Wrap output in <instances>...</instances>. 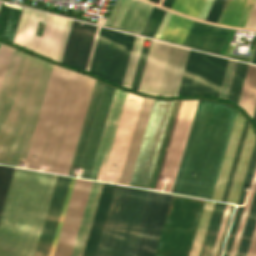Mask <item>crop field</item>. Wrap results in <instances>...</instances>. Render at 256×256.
<instances>
[{"label":"crop field","mask_w":256,"mask_h":256,"mask_svg":"<svg viewBox=\"0 0 256 256\" xmlns=\"http://www.w3.org/2000/svg\"><path fill=\"white\" fill-rule=\"evenodd\" d=\"M241 2H242V0H231L230 1L228 8L226 10V13L221 22L222 24H227V25L232 24V22L235 18V15L240 7Z\"/></svg>","instance_id":"42"},{"label":"crop field","mask_w":256,"mask_h":256,"mask_svg":"<svg viewBox=\"0 0 256 256\" xmlns=\"http://www.w3.org/2000/svg\"><path fill=\"white\" fill-rule=\"evenodd\" d=\"M70 179L69 177L57 176L35 256H48Z\"/></svg>","instance_id":"17"},{"label":"crop field","mask_w":256,"mask_h":256,"mask_svg":"<svg viewBox=\"0 0 256 256\" xmlns=\"http://www.w3.org/2000/svg\"><path fill=\"white\" fill-rule=\"evenodd\" d=\"M94 81L53 66L26 160L30 169L68 174Z\"/></svg>","instance_id":"1"},{"label":"crop field","mask_w":256,"mask_h":256,"mask_svg":"<svg viewBox=\"0 0 256 256\" xmlns=\"http://www.w3.org/2000/svg\"><path fill=\"white\" fill-rule=\"evenodd\" d=\"M44 17L45 13L23 8L13 43L36 53L41 37L35 33Z\"/></svg>","instance_id":"20"},{"label":"crop field","mask_w":256,"mask_h":256,"mask_svg":"<svg viewBox=\"0 0 256 256\" xmlns=\"http://www.w3.org/2000/svg\"><path fill=\"white\" fill-rule=\"evenodd\" d=\"M74 179L75 178L71 179V183H70V186H69V189H68V193H67V196H66V199H65V203H64V206H63V209H62V213H61V216H60V219H59V223H58V226H57V229H56V233H55V236H54V239H53V243H52V246H51V249H50L49 256H52V254H53V250H54L55 243H56V240H57V237H58V233H59L60 226H61V223H62V220H63V216H64V213H65V210H66V206H67L68 199H69V196H70V193H71V189H72V186H73V183H74Z\"/></svg>","instance_id":"45"},{"label":"crop field","mask_w":256,"mask_h":256,"mask_svg":"<svg viewBox=\"0 0 256 256\" xmlns=\"http://www.w3.org/2000/svg\"><path fill=\"white\" fill-rule=\"evenodd\" d=\"M152 7L147 3L132 0L119 29L139 34Z\"/></svg>","instance_id":"27"},{"label":"crop field","mask_w":256,"mask_h":256,"mask_svg":"<svg viewBox=\"0 0 256 256\" xmlns=\"http://www.w3.org/2000/svg\"><path fill=\"white\" fill-rule=\"evenodd\" d=\"M171 2L172 0H163L161 5L169 8L171 5Z\"/></svg>","instance_id":"59"},{"label":"crop field","mask_w":256,"mask_h":256,"mask_svg":"<svg viewBox=\"0 0 256 256\" xmlns=\"http://www.w3.org/2000/svg\"><path fill=\"white\" fill-rule=\"evenodd\" d=\"M230 30L195 21L184 45L219 54Z\"/></svg>","instance_id":"19"},{"label":"crop field","mask_w":256,"mask_h":256,"mask_svg":"<svg viewBox=\"0 0 256 256\" xmlns=\"http://www.w3.org/2000/svg\"><path fill=\"white\" fill-rule=\"evenodd\" d=\"M15 168L0 216V256H33L56 180Z\"/></svg>","instance_id":"4"},{"label":"crop field","mask_w":256,"mask_h":256,"mask_svg":"<svg viewBox=\"0 0 256 256\" xmlns=\"http://www.w3.org/2000/svg\"><path fill=\"white\" fill-rule=\"evenodd\" d=\"M255 224H256V191L253 197L251 208L248 214V218L245 224V228L243 231V235H242L236 256H246Z\"/></svg>","instance_id":"33"},{"label":"crop field","mask_w":256,"mask_h":256,"mask_svg":"<svg viewBox=\"0 0 256 256\" xmlns=\"http://www.w3.org/2000/svg\"><path fill=\"white\" fill-rule=\"evenodd\" d=\"M142 99L141 97L129 93L127 94L106 170L104 169L105 173L102 181L113 182L114 179L107 178L108 172H113L118 173L115 183H119Z\"/></svg>","instance_id":"11"},{"label":"crop field","mask_w":256,"mask_h":256,"mask_svg":"<svg viewBox=\"0 0 256 256\" xmlns=\"http://www.w3.org/2000/svg\"><path fill=\"white\" fill-rule=\"evenodd\" d=\"M11 48L0 45V86L10 57Z\"/></svg>","instance_id":"44"},{"label":"crop field","mask_w":256,"mask_h":256,"mask_svg":"<svg viewBox=\"0 0 256 256\" xmlns=\"http://www.w3.org/2000/svg\"><path fill=\"white\" fill-rule=\"evenodd\" d=\"M113 186L114 185L112 184H103V188L100 194V198L97 204L95 215L82 256H94Z\"/></svg>","instance_id":"25"},{"label":"crop field","mask_w":256,"mask_h":256,"mask_svg":"<svg viewBox=\"0 0 256 256\" xmlns=\"http://www.w3.org/2000/svg\"><path fill=\"white\" fill-rule=\"evenodd\" d=\"M248 126H249V124L247 123V121H245L244 128H243V131H242V134H241V138H240V141H239V144H238V147H237V151H236V154H235V157H234V161H233V164H232V167H231V170H230V174H229V177H228L226 187H225V190H224L223 197H222L221 201H224V202L227 201V197H228V194H229V191H230V187H231L232 180H233V177H234V174H235V170H236L237 163H238V160H239V157H240V153H241V150H242V147H243V143H244L245 136H246V133H247V130H248Z\"/></svg>","instance_id":"40"},{"label":"crop field","mask_w":256,"mask_h":256,"mask_svg":"<svg viewBox=\"0 0 256 256\" xmlns=\"http://www.w3.org/2000/svg\"><path fill=\"white\" fill-rule=\"evenodd\" d=\"M71 21L72 20H70V19L67 20V24H66V27H65V31H64V34H63V38H62L61 45H60V48H59V52H58L57 59H56L59 62L61 61V57H62V54H63V50H64V46H65L66 39H67V36H68Z\"/></svg>","instance_id":"50"},{"label":"crop field","mask_w":256,"mask_h":256,"mask_svg":"<svg viewBox=\"0 0 256 256\" xmlns=\"http://www.w3.org/2000/svg\"><path fill=\"white\" fill-rule=\"evenodd\" d=\"M148 192L131 189L112 256H130Z\"/></svg>","instance_id":"13"},{"label":"crop field","mask_w":256,"mask_h":256,"mask_svg":"<svg viewBox=\"0 0 256 256\" xmlns=\"http://www.w3.org/2000/svg\"><path fill=\"white\" fill-rule=\"evenodd\" d=\"M249 64L245 63H236L233 79L231 82L229 94L227 99L233 100L235 103H238V99L241 93V89L244 83V79L247 73Z\"/></svg>","instance_id":"35"},{"label":"crop field","mask_w":256,"mask_h":256,"mask_svg":"<svg viewBox=\"0 0 256 256\" xmlns=\"http://www.w3.org/2000/svg\"><path fill=\"white\" fill-rule=\"evenodd\" d=\"M188 51L152 40L138 91L176 96Z\"/></svg>","instance_id":"5"},{"label":"crop field","mask_w":256,"mask_h":256,"mask_svg":"<svg viewBox=\"0 0 256 256\" xmlns=\"http://www.w3.org/2000/svg\"><path fill=\"white\" fill-rule=\"evenodd\" d=\"M134 37L101 27L89 71L121 85Z\"/></svg>","instance_id":"7"},{"label":"crop field","mask_w":256,"mask_h":256,"mask_svg":"<svg viewBox=\"0 0 256 256\" xmlns=\"http://www.w3.org/2000/svg\"><path fill=\"white\" fill-rule=\"evenodd\" d=\"M165 12L154 6L140 34L153 37Z\"/></svg>","instance_id":"38"},{"label":"crop field","mask_w":256,"mask_h":256,"mask_svg":"<svg viewBox=\"0 0 256 256\" xmlns=\"http://www.w3.org/2000/svg\"><path fill=\"white\" fill-rule=\"evenodd\" d=\"M254 141H255L254 134L251 127L249 126V130L246 136L244 147L241 153V157L239 160V164L236 170V174L233 180V184H232L227 202H231L235 204L237 203V199L240 193V189H241L244 175L247 169V165H248L251 151L254 145Z\"/></svg>","instance_id":"28"},{"label":"crop field","mask_w":256,"mask_h":256,"mask_svg":"<svg viewBox=\"0 0 256 256\" xmlns=\"http://www.w3.org/2000/svg\"><path fill=\"white\" fill-rule=\"evenodd\" d=\"M247 256H256V227L250 244Z\"/></svg>","instance_id":"55"},{"label":"crop field","mask_w":256,"mask_h":256,"mask_svg":"<svg viewBox=\"0 0 256 256\" xmlns=\"http://www.w3.org/2000/svg\"><path fill=\"white\" fill-rule=\"evenodd\" d=\"M245 119L237 112L236 119L233 125V129L230 135V139L226 148V152L223 158V162L219 171V175L216 181V185L213 191V200H221L222 193L225 187V183L229 174V170L232 164V160L236 151V147L240 138V134L243 128Z\"/></svg>","instance_id":"22"},{"label":"crop field","mask_w":256,"mask_h":256,"mask_svg":"<svg viewBox=\"0 0 256 256\" xmlns=\"http://www.w3.org/2000/svg\"><path fill=\"white\" fill-rule=\"evenodd\" d=\"M130 1L131 0H125V2H124V4H123V6H122V8H121V10H120V12H119V14H118V16H117V18H116L112 27H115V28L118 27V25H119L124 13H125L127 7H128V5H129Z\"/></svg>","instance_id":"52"},{"label":"crop field","mask_w":256,"mask_h":256,"mask_svg":"<svg viewBox=\"0 0 256 256\" xmlns=\"http://www.w3.org/2000/svg\"><path fill=\"white\" fill-rule=\"evenodd\" d=\"M101 182H92V186L89 192V196L86 202L84 213L81 219L79 230L76 236V240L73 246L71 256H81L83 248L86 242L88 231L91 225V221L94 215L96 204L99 198V194L102 188Z\"/></svg>","instance_id":"26"},{"label":"crop field","mask_w":256,"mask_h":256,"mask_svg":"<svg viewBox=\"0 0 256 256\" xmlns=\"http://www.w3.org/2000/svg\"><path fill=\"white\" fill-rule=\"evenodd\" d=\"M153 101L154 100L152 99H146V98L143 99V103L141 106V110L139 113V117L137 120V124L135 127V131L133 134V138L130 144V148L128 151V155L126 158V162L124 165V169H123L119 184H124V185L129 184V182L127 183V181H130V177H131L133 167L136 161V157L139 151V147L143 138V134L146 128V124L149 118Z\"/></svg>","instance_id":"21"},{"label":"crop field","mask_w":256,"mask_h":256,"mask_svg":"<svg viewBox=\"0 0 256 256\" xmlns=\"http://www.w3.org/2000/svg\"><path fill=\"white\" fill-rule=\"evenodd\" d=\"M147 52H148V48L143 47L141 55H140V59H139V62H138V66H137V69H136V73H135V76H134V80H133V83H132V87H131L132 89H134L136 91L138 90L140 78H141V75H142L144 63H145L146 56H147Z\"/></svg>","instance_id":"43"},{"label":"crop field","mask_w":256,"mask_h":256,"mask_svg":"<svg viewBox=\"0 0 256 256\" xmlns=\"http://www.w3.org/2000/svg\"><path fill=\"white\" fill-rule=\"evenodd\" d=\"M227 59L190 50L177 96H219Z\"/></svg>","instance_id":"8"},{"label":"crop field","mask_w":256,"mask_h":256,"mask_svg":"<svg viewBox=\"0 0 256 256\" xmlns=\"http://www.w3.org/2000/svg\"><path fill=\"white\" fill-rule=\"evenodd\" d=\"M236 112L225 104L198 101L171 192L211 198Z\"/></svg>","instance_id":"3"},{"label":"crop field","mask_w":256,"mask_h":256,"mask_svg":"<svg viewBox=\"0 0 256 256\" xmlns=\"http://www.w3.org/2000/svg\"><path fill=\"white\" fill-rule=\"evenodd\" d=\"M14 168L0 166V212Z\"/></svg>","instance_id":"41"},{"label":"crop field","mask_w":256,"mask_h":256,"mask_svg":"<svg viewBox=\"0 0 256 256\" xmlns=\"http://www.w3.org/2000/svg\"><path fill=\"white\" fill-rule=\"evenodd\" d=\"M123 2H124V0H117L116 1V3L114 5V7H113V9H112L108 19H107V21L105 23V25L110 26V27L112 26V24H113V22H114V20H115V18L117 16L120 8H121Z\"/></svg>","instance_id":"49"},{"label":"crop field","mask_w":256,"mask_h":256,"mask_svg":"<svg viewBox=\"0 0 256 256\" xmlns=\"http://www.w3.org/2000/svg\"><path fill=\"white\" fill-rule=\"evenodd\" d=\"M173 101H154L144 140L129 185L148 187Z\"/></svg>","instance_id":"9"},{"label":"crop field","mask_w":256,"mask_h":256,"mask_svg":"<svg viewBox=\"0 0 256 256\" xmlns=\"http://www.w3.org/2000/svg\"><path fill=\"white\" fill-rule=\"evenodd\" d=\"M253 119L255 120V122H256V110H255V113H254V117H253Z\"/></svg>","instance_id":"63"},{"label":"crop field","mask_w":256,"mask_h":256,"mask_svg":"<svg viewBox=\"0 0 256 256\" xmlns=\"http://www.w3.org/2000/svg\"><path fill=\"white\" fill-rule=\"evenodd\" d=\"M255 0H247L243 12L236 26L244 27Z\"/></svg>","instance_id":"48"},{"label":"crop field","mask_w":256,"mask_h":256,"mask_svg":"<svg viewBox=\"0 0 256 256\" xmlns=\"http://www.w3.org/2000/svg\"><path fill=\"white\" fill-rule=\"evenodd\" d=\"M245 28L256 29V3Z\"/></svg>","instance_id":"53"},{"label":"crop field","mask_w":256,"mask_h":256,"mask_svg":"<svg viewBox=\"0 0 256 256\" xmlns=\"http://www.w3.org/2000/svg\"><path fill=\"white\" fill-rule=\"evenodd\" d=\"M194 21L172 15L161 39L183 44Z\"/></svg>","instance_id":"30"},{"label":"crop field","mask_w":256,"mask_h":256,"mask_svg":"<svg viewBox=\"0 0 256 256\" xmlns=\"http://www.w3.org/2000/svg\"><path fill=\"white\" fill-rule=\"evenodd\" d=\"M198 100H188V101H174L173 102V106L170 112V116L168 119V123L165 129V133L162 139V143L160 146V150L157 156V160L155 163V167L152 173V177L149 183V187L153 189L154 188V184L157 178V174L159 171V167L161 164V160L164 154V150L166 147V143L168 140V136L171 130V126L173 123V119L175 116V112L178 106V102H179V106L177 109V113L175 116V120L172 126V130L170 133V137L168 140V144L166 147V151L164 154V158L162 161V165L159 171V175L157 178V182L155 185V189L154 190H158L161 191L162 189V185L163 183H161L162 177H167V178H171L169 184H165L164 190L166 192H170L171 188H172V184L175 178V174L178 168V164L181 158V154L184 148V144L187 138V134L190 128V124L193 118V114L196 108V104H197ZM150 189V190H151Z\"/></svg>","instance_id":"6"},{"label":"crop field","mask_w":256,"mask_h":256,"mask_svg":"<svg viewBox=\"0 0 256 256\" xmlns=\"http://www.w3.org/2000/svg\"><path fill=\"white\" fill-rule=\"evenodd\" d=\"M224 3H225V0H215L206 20L216 22Z\"/></svg>","instance_id":"46"},{"label":"crop field","mask_w":256,"mask_h":256,"mask_svg":"<svg viewBox=\"0 0 256 256\" xmlns=\"http://www.w3.org/2000/svg\"><path fill=\"white\" fill-rule=\"evenodd\" d=\"M204 1L205 0H173L170 8L197 18Z\"/></svg>","instance_id":"37"},{"label":"crop field","mask_w":256,"mask_h":256,"mask_svg":"<svg viewBox=\"0 0 256 256\" xmlns=\"http://www.w3.org/2000/svg\"><path fill=\"white\" fill-rule=\"evenodd\" d=\"M230 206L231 205H229V204L226 205V209H225V212H224V215H223V219H222V222H221V226H220V229H219V233H218V236H217V239H216V243H215V246H214L212 256H216V254H217V250H218L219 243H220V240H221V236H222L224 226H225V223H226V220H227V216H228V213H229V210H230Z\"/></svg>","instance_id":"47"},{"label":"crop field","mask_w":256,"mask_h":256,"mask_svg":"<svg viewBox=\"0 0 256 256\" xmlns=\"http://www.w3.org/2000/svg\"><path fill=\"white\" fill-rule=\"evenodd\" d=\"M127 92L115 90L89 179L102 180Z\"/></svg>","instance_id":"16"},{"label":"crop field","mask_w":256,"mask_h":256,"mask_svg":"<svg viewBox=\"0 0 256 256\" xmlns=\"http://www.w3.org/2000/svg\"><path fill=\"white\" fill-rule=\"evenodd\" d=\"M130 189L114 186L95 256H111Z\"/></svg>","instance_id":"14"},{"label":"crop field","mask_w":256,"mask_h":256,"mask_svg":"<svg viewBox=\"0 0 256 256\" xmlns=\"http://www.w3.org/2000/svg\"><path fill=\"white\" fill-rule=\"evenodd\" d=\"M114 88L104 85V89L101 95L99 106L96 112L92 130L89 136L87 147L84 153V159L81 162L82 168H85L83 175H80L81 178H89V174L92 168V164L95 158L97 147L100 141V137L103 131V127L106 121L108 110L111 104V100L114 94Z\"/></svg>","instance_id":"18"},{"label":"crop field","mask_w":256,"mask_h":256,"mask_svg":"<svg viewBox=\"0 0 256 256\" xmlns=\"http://www.w3.org/2000/svg\"><path fill=\"white\" fill-rule=\"evenodd\" d=\"M170 16H171V13L166 12V14H165V16H164V18H163V20H162L158 30H157L155 36H154L155 38H158V39L160 38V36H161V34H162V32H163V30H164V28H165L169 18H170Z\"/></svg>","instance_id":"51"},{"label":"crop field","mask_w":256,"mask_h":256,"mask_svg":"<svg viewBox=\"0 0 256 256\" xmlns=\"http://www.w3.org/2000/svg\"><path fill=\"white\" fill-rule=\"evenodd\" d=\"M91 182L90 180L75 179L53 256H70Z\"/></svg>","instance_id":"12"},{"label":"crop field","mask_w":256,"mask_h":256,"mask_svg":"<svg viewBox=\"0 0 256 256\" xmlns=\"http://www.w3.org/2000/svg\"><path fill=\"white\" fill-rule=\"evenodd\" d=\"M1 3V2H0Z\"/></svg>","instance_id":"64"},{"label":"crop field","mask_w":256,"mask_h":256,"mask_svg":"<svg viewBox=\"0 0 256 256\" xmlns=\"http://www.w3.org/2000/svg\"><path fill=\"white\" fill-rule=\"evenodd\" d=\"M96 28L73 20L61 62L85 70Z\"/></svg>","instance_id":"15"},{"label":"crop field","mask_w":256,"mask_h":256,"mask_svg":"<svg viewBox=\"0 0 256 256\" xmlns=\"http://www.w3.org/2000/svg\"><path fill=\"white\" fill-rule=\"evenodd\" d=\"M245 2H246V0H243L242 5H241V7H240V9H239V12H238V14H237V16H236V18H235V21H234V23H233L232 26H235V25H236V23H237V21H238V18H239L240 14H241V11H242V9H243V7H244V5H245Z\"/></svg>","instance_id":"58"},{"label":"crop field","mask_w":256,"mask_h":256,"mask_svg":"<svg viewBox=\"0 0 256 256\" xmlns=\"http://www.w3.org/2000/svg\"><path fill=\"white\" fill-rule=\"evenodd\" d=\"M99 28H100V27L97 28L96 36H95V39H94L93 47H92V50H91L90 58H89L88 65H87V69H86L87 71L89 70V66H90V62H91L92 55H93L95 43H96V40H97Z\"/></svg>","instance_id":"57"},{"label":"crop field","mask_w":256,"mask_h":256,"mask_svg":"<svg viewBox=\"0 0 256 256\" xmlns=\"http://www.w3.org/2000/svg\"><path fill=\"white\" fill-rule=\"evenodd\" d=\"M143 39L144 38H142V37H138V36L135 37L132 52L130 55V59L128 62V66H127L125 77H124L123 84H122L123 86L129 87V88L131 87V83H132V79L134 76L137 61L139 58Z\"/></svg>","instance_id":"36"},{"label":"crop field","mask_w":256,"mask_h":256,"mask_svg":"<svg viewBox=\"0 0 256 256\" xmlns=\"http://www.w3.org/2000/svg\"><path fill=\"white\" fill-rule=\"evenodd\" d=\"M255 166H256V142H255L254 149H253V152H252V156H251V159H250V163H249L246 178H245V181H244V185H243L242 193H241V196H240L239 204L237 203L238 206H243L244 199H245V194H246V190H247L246 185H247V182H251L252 176L254 174ZM242 210H243V207L236 208V212H235L233 222H232V225H231V228H230V232H229V235H228V238H227V242H226V245H225L223 256H229V254H230L232 244H233V241H234V237H235V234H236V230H237L239 220H240V217H241Z\"/></svg>","instance_id":"29"},{"label":"crop field","mask_w":256,"mask_h":256,"mask_svg":"<svg viewBox=\"0 0 256 256\" xmlns=\"http://www.w3.org/2000/svg\"><path fill=\"white\" fill-rule=\"evenodd\" d=\"M66 20L63 17L48 14L38 54L56 59Z\"/></svg>","instance_id":"23"},{"label":"crop field","mask_w":256,"mask_h":256,"mask_svg":"<svg viewBox=\"0 0 256 256\" xmlns=\"http://www.w3.org/2000/svg\"><path fill=\"white\" fill-rule=\"evenodd\" d=\"M103 85H104L103 83H101L97 80L95 81L93 92H92V95H91V98H90V102H89V105H88V109H87V112H86V116H85V119H84V122H83V126H82V129H81V133H80V136H79V140H78V143H77V146H76V150H75V153H74V157H73L72 164H71L68 175L76 176L75 174H73L74 166L79 167L81 157H83V153H84L86 143H87V140H88V136H89V133H90V130H91V126H92V123H93L95 112H96L98 102H99V99H100V95H101V92H102V89H103Z\"/></svg>","instance_id":"24"},{"label":"crop field","mask_w":256,"mask_h":256,"mask_svg":"<svg viewBox=\"0 0 256 256\" xmlns=\"http://www.w3.org/2000/svg\"><path fill=\"white\" fill-rule=\"evenodd\" d=\"M225 205L226 204H223V203H217V202L214 203L211 218L209 221V225H208L206 236L203 243V244H206L203 256H211L215 239L220 226V222L222 219V215L225 209Z\"/></svg>","instance_id":"32"},{"label":"crop field","mask_w":256,"mask_h":256,"mask_svg":"<svg viewBox=\"0 0 256 256\" xmlns=\"http://www.w3.org/2000/svg\"><path fill=\"white\" fill-rule=\"evenodd\" d=\"M253 63H256V49H255V53H254V57H253Z\"/></svg>","instance_id":"61"},{"label":"crop field","mask_w":256,"mask_h":256,"mask_svg":"<svg viewBox=\"0 0 256 256\" xmlns=\"http://www.w3.org/2000/svg\"><path fill=\"white\" fill-rule=\"evenodd\" d=\"M213 1L214 0H206V2L204 4V7H203V9H202L198 18H201V19H204V20L206 19L208 11H209Z\"/></svg>","instance_id":"54"},{"label":"crop field","mask_w":256,"mask_h":256,"mask_svg":"<svg viewBox=\"0 0 256 256\" xmlns=\"http://www.w3.org/2000/svg\"><path fill=\"white\" fill-rule=\"evenodd\" d=\"M213 203L214 202H212V201H208V200L205 201V205H204V208L202 211V215H201L198 229H197V232L195 235L193 246H192V249L190 252V256H198V254H199L201 244L203 241V237H204L206 227L208 224V220L210 217V213H211V210L213 207Z\"/></svg>","instance_id":"34"},{"label":"crop field","mask_w":256,"mask_h":256,"mask_svg":"<svg viewBox=\"0 0 256 256\" xmlns=\"http://www.w3.org/2000/svg\"><path fill=\"white\" fill-rule=\"evenodd\" d=\"M52 66L12 50L0 90V164L26 160Z\"/></svg>","instance_id":"2"},{"label":"crop field","mask_w":256,"mask_h":256,"mask_svg":"<svg viewBox=\"0 0 256 256\" xmlns=\"http://www.w3.org/2000/svg\"><path fill=\"white\" fill-rule=\"evenodd\" d=\"M223 243H224V242H221V244H220V247H219V251H218L217 256H220V253H221V250H222Z\"/></svg>","instance_id":"60"},{"label":"crop field","mask_w":256,"mask_h":256,"mask_svg":"<svg viewBox=\"0 0 256 256\" xmlns=\"http://www.w3.org/2000/svg\"><path fill=\"white\" fill-rule=\"evenodd\" d=\"M234 208H235V206L232 205V206H231L230 213H229V216H228V220H227V223H226V227H225V230H224V234H223V237H222V240H221V241H224V240H225V236H226V233H227V230H228L230 221H231V217H232V213H233Z\"/></svg>","instance_id":"56"},{"label":"crop field","mask_w":256,"mask_h":256,"mask_svg":"<svg viewBox=\"0 0 256 256\" xmlns=\"http://www.w3.org/2000/svg\"><path fill=\"white\" fill-rule=\"evenodd\" d=\"M150 1L155 2V3L158 4L160 0H150Z\"/></svg>","instance_id":"62"},{"label":"crop field","mask_w":256,"mask_h":256,"mask_svg":"<svg viewBox=\"0 0 256 256\" xmlns=\"http://www.w3.org/2000/svg\"><path fill=\"white\" fill-rule=\"evenodd\" d=\"M252 184H254V186H253V188L249 189V193H248L247 200H246V203H245L244 211H243V214H242V217H241V221H240V224H239V228H238V231H237V234H236V238H235L230 256H235L236 255V251H237V248H238V245H239V241H240V238H241V235H242L244 224H245V221H246V218H247V214H248L250 204H251V201H252V197H253L255 187H256V171H255L254 178L252 180Z\"/></svg>","instance_id":"39"},{"label":"crop field","mask_w":256,"mask_h":256,"mask_svg":"<svg viewBox=\"0 0 256 256\" xmlns=\"http://www.w3.org/2000/svg\"><path fill=\"white\" fill-rule=\"evenodd\" d=\"M238 105L253 117L256 106V66H249Z\"/></svg>","instance_id":"31"},{"label":"crop field","mask_w":256,"mask_h":256,"mask_svg":"<svg viewBox=\"0 0 256 256\" xmlns=\"http://www.w3.org/2000/svg\"><path fill=\"white\" fill-rule=\"evenodd\" d=\"M171 196L149 192L131 256H154Z\"/></svg>","instance_id":"10"}]
</instances>
